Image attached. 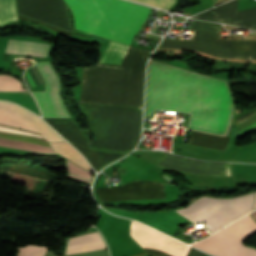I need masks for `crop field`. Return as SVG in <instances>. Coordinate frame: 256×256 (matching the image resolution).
<instances>
[{"label":"crop field","instance_id":"crop-field-1","mask_svg":"<svg viewBox=\"0 0 256 256\" xmlns=\"http://www.w3.org/2000/svg\"><path fill=\"white\" fill-rule=\"evenodd\" d=\"M233 100L219 80L150 61L144 118L153 110L190 114L189 129L224 135Z\"/></svg>","mask_w":256,"mask_h":256},{"label":"crop field","instance_id":"crop-field-2","mask_svg":"<svg viewBox=\"0 0 256 256\" xmlns=\"http://www.w3.org/2000/svg\"><path fill=\"white\" fill-rule=\"evenodd\" d=\"M75 18L74 28L94 31L114 0H64ZM150 14V9L123 0H115L93 35L130 45ZM128 46L109 42L99 63L119 65Z\"/></svg>","mask_w":256,"mask_h":256},{"label":"crop field","instance_id":"crop-field-3","mask_svg":"<svg viewBox=\"0 0 256 256\" xmlns=\"http://www.w3.org/2000/svg\"><path fill=\"white\" fill-rule=\"evenodd\" d=\"M144 70L97 64L82 67L80 102L141 107Z\"/></svg>","mask_w":256,"mask_h":256},{"label":"crop field","instance_id":"crop-field-4","mask_svg":"<svg viewBox=\"0 0 256 256\" xmlns=\"http://www.w3.org/2000/svg\"><path fill=\"white\" fill-rule=\"evenodd\" d=\"M159 48H191L220 58L256 60V41L220 40V24L198 20L193 40L164 39Z\"/></svg>","mask_w":256,"mask_h":256},{"label":"crop field","instance_id":"crop-field-5","mask_svg":"<svg viewBox=\"0 0 256 256\" xmlns=\"http://www.w3.org/2000/svg\"><path fill=\"white\" fill-rule=\"evenodd\" d=\"M253 199L254 193L230 199L203 197L177 212L194 223L207 221L203 224L213 232L252 211Z\"/></svg>","mask_w":256,"mask_h":256},{"label":"crop field","instance_id":"crop-field-6","mask_svg":"<svg viewBox=\"0 0 256 256\" xmlns=\"http://www.w3.org/2000/svg\"><path fill=\"white\" fill-rule=\"evenodd\" d=\"M253 232H256V222L247 214L192 245L216 256H256L255 249L244 247L240 242Z\"/></svg>","mask_w":256,"mask_h":256},{"label":"crop field","instance_id":"crop-field-7","mask_svg":"<svg viewBox=\"0 0 256 256\" xmlns=\"http://www.w3.org/2000/svg\"><path fill=\"white\" fill-rule=\"evenodd\" d=\"M43 119L74 145L90 162L94 170L99 171L101 168L124 155L91 149L68 119Z\"/></svg>","mask_w":256,"mask_h":256},{"label":"crop field","instance_id":"crop-field-8","mask_svg":"<svg viewBox=\"0 0 256 256\" xmlns=\"http://www.w3.org/2000/svg\"><path fill=\"white\" fill-rule=\"evenodd\" d=\"M44 81L46 92H31L43 117H69L59 96V81L49 62L36 63Z\"/></svg>","mask_w":256,"mask_h":256},{"label":"crop field","instance_id":"crop-field-9","mask_svg":"<svg viewBox=\"0 0 256 256\" xmlns=\"http://www.w3.org/2000/svg\"><path fill=\"white\" fill-rule=\"evenodd\" d=\"M0 105L9 106V107H12V108L18 110L19 112L25 114L30 119H32L37 124H39L43 129H45L57 141H65L55 131H53L47 124H45L41 119H39L35 115L31 114L30 112L26 111L25 109H23L19 106L13 105L11 103L2 102V101H0ZM9 107L0 106V123L1 124L37 132L42 135V138H44L50 142L56 141L45 130H43L39 125H37L35 122L30 120L25 115L19 113L18 111L14 110L12 108H9Z\"/></svg>","mask_w":256,"mask_h":256},{"label":"crop field","instance_id":"crop-field-10","mask_svg":"<svg viewBox=\"0 0 256 256\" xmlns=\"http://www.w3.org/2000/svg\"><path fill=\"white\" fill-rule=\"evenodd\" d=\"M100 202L164 198L162 184L137 181L120 187L95 189Z\"/></svg>","mask_w":256,"mask_h":256},{"label":"crop field","instance_id":"crop-field-11","mask_svg":"<svg viewBox=\"0 0 256 256\" xmlns=\"http://www.w3.org/2000/svg\"><path fill=\"white\" fill-rule=\"evenodd\" d=\"M193 18L227 22L256 29V7L237 11V0L229 1L214 9L195 15Z\"/></svg>","mask_w":256,"mask_h":256},{"label":"crop field","instance_id":"crop-field-12","mask_svg":"<svg viewBox=\"0 0 256 256\" xmlns=\"http://www.w3.org/2000/svg\"><path fill=\"white\" fill-rule=\"evenodd\" d=\"M0 137L32 142V143L50 147L47 141L39 138L10 134V133H3V132H0ZM2 138H0V146L14 147V148H20V149H26V150H32V151H38V152L55 153L51 148H48V147H44V146H40L32 143L2 139Z\"/></svg>","mask_w":256,"mask_h":256},{"label":"crop field","instance_id":"crop-field-13","mask_svg":"<svg viewBox=\"0 0 256 256\" xmlns=\"http://www.w3.org/2000/svg\"><path fill=\"white\" fill-rule=\"evenodd\" d=\"M104 243L98 232L71 238L67 244V254L80 253L104 248Z\"/></svg>","mask_w":256,"mask_h":256},{"label":"crop field","instance_id":"crop-field-14","mask_svg":"<svg viewBox=\"0 0 256 256\" xmlns=\"http://www.w3.org/2000/svg\"><path fill=\"white\" fill-rule=\"evenodd\" d=\"M49 44L9 40L4 52L46 57Z\"/></svg>","mask_w":256,"mask_h":256},{"label":"crop field","instance_id":"crop-field-15","mask_svg":"<svg viewBox=\"0 0 256 256\" xmlns=\"http://www.w3.org/2000/svg\"><path fill=\"white\" fill-rule=\"evenodd\" d=\"M228 139L226 137L193 131L187 143L225 151Z\"/></svg>","mask_w":256,"mask_h":256},{"label":"crop field","instance_id":"crop-field-16","mask_svg":"<svg viewBox=\"0 0 256 256\" xmlns=\"http://www.w3.org/2000/svg\"><path fill=\"white\" fill-rule=\"evenodd\" d=\"M56 152L67 158L69 161L75 165L86 169L88 171H93L92 168L85 162L84 158L67 142L52 143Z\"/></svg>","mask_w":256,"mask_h":256},{"label":"crop field","instance_id":"crop-field-17","mask_svg":"<svg viewBox=\"0 0 256 256\" xmlns=\"http://www.w3.org/2000/svg\"><path fill=\"white\" fill-rule=\"evenodd\" d=\"M16 20L14 0H0V25Z\"/></svg>","mask_w":256,"mask_h":256},{"label":"crop field","instance_id":"crop-field-18","mask_svg":"<svg viewBox=\"0 0 256 256\" xmlns=\"http://www.w3.org/2000/svg\"><path fill=\"white\" fill-rule=\"evenodd\" d=\"M11 77L0 75V91L29 93L28 90L21 88L19 80Z\"/></svg>","mask_w":256,"mask_h":256},{"label":"crop field","instance_id":"crop-field-19","mask_svg":"<svg viewBox=\"0 0 256 256\" xmlns=\"http://www.w3.org/2000/svg\"><path fill=\"white\" fill-rule=\"evenodd\" d=\"M47 247L42 245H31L17 247L16 256H43Z\"/></svg>","mask_w":256,"mask_h":256},{"label":"crop field","instance_id":"crop-field-20","mask_svg":"<svg viewBox=\"0 0 256 256\" xmlns=\"http://www.w3.org/2000/svg\"><path fill=\"white\" fill-rule=\"evenodd\" d=\"M67 166H68V170H69V171L74 172V173L79 174V175H82V176H84V177H87V178H89V179L91 178L90 172H88V171H86V170H83V169H81V168H79V167H76L75 165H73L72 163H70V162H68V161H67ZM69 171H68V173H69L70 176L75 177V178H78V179L83 180V181H86V182H88V183L90 182L89 179L84 178V177L79 176V175H76V174H74V173H71V172H69Z\"/></svg>","mask_w":256,"mask_h":256},{"label":"crop field","instance_id":"crop-field-21","mask_svg":"<svg viewBox=\"0 0 256 256\" xmlns=\"http://www.w3.org/2000/svg\"><path fill=\"white\" fill-rule=\"evenodd\" d=\"M135 1L145 3L148 5L157 6L163 9L169 8L174 2V0H135Z\"/></svg>","mask_w":256,"mask_h":256},{"label":"crop field","instance_id":"crop-field-22","mask_svg":"<svg viewBox=\"0 0 256 256\" xmlns=\"http://www.w3.org/2000/svg\"><path fill=\"white\" fill-rule=\"evenodd\" d=\"M0 130H3V131H9V132H14V133H21V134L35 135V134H31V133H28V132H24V131H20V130H16V129L8 128V127H4V126H0ZM35 136H39V135H35ZM39 137H41V136H39Z\"/></svg>","mask_w":256,"mask_h":256},{"label":"crop field","instance_id":"crop-field-23","mask_svg":"<svg viewBox=\"0 0 256 256\" xmlns=\"http://www.w3.org/2000/svg\"><path fill=\"white\" fill-rule=\"evenodd\" d=\"M145 249V248H144ZM149 255L151 256H171L169 254H166L162 251H157V250H151V249H145Z\"/></svg>","mask_w":256,"mask_h":256},{"label":"crop field","instance_id":"crop-field-24","mask_svg":"<svg viewBox=\"0 0 256 256\" xmlns=\"http://www.w3.org/2000/svg\"><path fill=\"white\" fill-rule=\"evenodd\" d=\"M186 256H208L190 247Z\"/></svg>","mask_w":256,"mask_h":256},{"label":"crop field","instance_id":"crop-field-25","mask_svg":"<svg viewBox=\"0 0 256 256\" xmlns=\"http://www.w3.org/2000/svg\"><path fill=\"white\" fill-rule=\"evenodd\" d=\"M256 208V202H255V206H254V209Z\"/></svg>","mask_w":256,"mask_h":256}]
</instances>
